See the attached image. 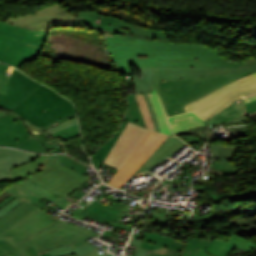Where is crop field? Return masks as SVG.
<instances>
[{"label":"crop field","mask_w":256,"mask_h":256,"mask_svg":"<svg viewBox=\"0 0 256 256\" xmlns=\"http://www.w3.org/2000/svg\"><path fill=\"white\" fill-rule=\"evenodd\" d=\"M98 247L88 243L80 246L73 247L72 244L65 245L61 247H57L54 249H51L47 251L51 256H63V255H69V254H77L78 256H84L85 254L91 252L92 250L96 249ZM46 252H41L40 254H43Z\"/></svg>","instance_id":"27"},{"label":"crop field","mask_w":256,"mask_h":256,"mask_svg":"<svg viewBox=\"0 0 256 256\" xmlns=\"http://www.w3.org/2000/svg\"><path fill=\"white\" fill-rule=\"evenodd\" d=\"M54 156L40 155L36 160L12 169V179H10V182H17L39 171L47 172L54 160Z\"/></svg>","instance_id":"17"},{"label":"crop field","mask_w":256,"mask_h":256,"mask_svg":"<svg viewBox=\"0 0 256 256\" xmlns=\"http://www.w3.org/2000/svg\"><path fill=\"white\" fill-rule=\"evenodd\" d=\"M254 95H256V92H255V93H252V94H250V95H248V96H245V99H246V98H249V97H251V96H254Z\"/></svg>","instance_id":"48"},{"label":"crop field","mask_w":256,"mask_h":256,"mask_svg":"<svg viewBox=\"0 0 256 256\" xmlns=\"http://www.w3.org/2000/svg\"><path fill=\"white\" fill-rule=\"evenodd\" d=\"M132 237L150 242L155 245L163 246V247H166L170 250L177 251V252H180L183 247V242H181L177 239L170 238V237L160 235L157 233H153V232H151L149 234L143 233L142 236L133 234Z\"/></svg>","instance_id":"24"},{"label":"crop field","mask_w":256,"mask_h":256,"mask_svg":"<svg viewBox=\"0 0 256 256\" xmlns=\"http://www.w3.org/2000/svg\"><path fill=\"white\" fill-rule=\"evenodd\" d=\"M254 113H256V112H252V114H254Z\"/></svg>","instance_id":"52"},{"label":"crop field","mask_w":256,"mask_h":256,"mask_svg":"<svg viewBox=\"0 0 256 256\" xmlns=\"http://www.w3.org/2000/svg\"><path fill=\"white\" fill-rule=\"evenodd\" d=\"M212 241L190 238L183 249L182 256H209L204 251L211 245Z\"/></svg>","instance_id":"28"},{"label":"crop field","mask_w":256,"mask_h":256,"mask_svg":"<svg viewBox=\"0 0 256 256\" xmlns=\"http://www.w3.org/2000/svg\"><path fill=\"white\" fill-rule=\"evenodd\" d=\"M24 125L19 118L10 115L0 117V145L1 146H16L29 138Z\"/></svg>","instance_id":"15"},{"label":"crop field","mask_w":256,"mask_h":256,"mask_svg":"<svg viewBox=\"0 0 256 256\" xmlns=\"http://www.w3.org/2000/svg\"><path fill=\"white\" fill-rule=\"evenodd\" d=\"M26 125H27V127L29 128V130L35 135V134H44V135H46V136H48V137H50L51 135H49V134H47V133H45V132H42L40 129H38V128H36V127H34V126H32L29 122H24Z\"/></svg>","instance_id":"41"},{"label":"crop field","mask_w":256,"mask_h":256,"mask_svg":"<svg viewBox=\"0 0 256 256\" xmlns=\"http://www.w3.org/2000/svg\"><path fill=\"white\" fill-rule=\"evenodd\" d=\"M255 99H256V96L251 97V98H249V99H246V100H245V103H246V102H249V101H252V100H255Z\"/></svg>","instance_id":"46"},{"label":"crop field","mask_w":256,"mask_h":256,"mask_svg":"<svg viewBox=\"0 0 256 256\" xmlns=\"http://www.w3.org/2000/svg\"><path fill=\"white\" fill-rule=\"evenodd\" d=\"M183 144L185 143L182 140L169 136V138L164 141V143L158 148V150L140 167V169L136 173L151 168L153 165L167 157L169 154L177 150Z\"/></svg>","instance_id":"18"},{"label":"crop field","mask_w":256,"mask_h":256,"mask_svg":"<svg viewBox=\"0 0 256 256\" xmlns=\"http://www.w3.org/2000/svg\"><path fill=\"white\" fill-rule=\"evenodd\" d=\"M136 256H145V250L138 247Z\"/></svg>","instance_id":"45"},{"label":"crop field","mask_w":256,"mask_h":256,"mask_svg":"<svg viewBox=\"0 0 256 256\" xmlns=\"http://www.w3.org/2000/svg\"><path fill=\"white\" fill-rule=\"evenodd\" d=\"M58 143V141L55 142L53 139L44 135H36L19 144L16 148L43 153H46L44 148H53V152H59L60 145ZM56 145H58V147H56Z\"/></svg>","instance_id":"21"},{"label":"crop field","mask_w":256,"mask_h":256,"mask_svg":"<svg viewBox=\"0 0 256 256\" xmlns=\"http://www.w3.org/2000/svg\"><path fill=\"white\" fill-rule=\"evenodd\" d=\"M252 73L253 72L223 74L161 81L159 82V95L164 103L167 115L172 116L184 113L183 105L190 103L227 83ZM174 110L177 112L175 113Z\"/></svg>","instance_id":"2"},{"label":"crop field","mask_w":256,"mask_h":256,"mask_svg":"<svg viewBox=\"0 0 256 256\" xmlns=\"http://www.w3.org/2000/svg\"><path fill=\"white\" fill-rule=\"evenodd\" d=\"M89 26L104 31L107 35L127 36L169 42L166 31L145 29L129 24L116 17L102 16L96 11L77 12Z\"/></svg>","instance_id":"6"},{"label":"crop field","mask_w":256,"mask_h":256,"mask_svg":"<svg viewBox=\"0 0 256 256\" xmlns=\"http://www.w3.org/2000/svg\"><path fill=\"white\" fill-rule=\"evenodd\" d=\"M237 101V103H235V101L225 109L215 114L208 121H206L205 123L207 124V126L211 123L217 125L221 122L228 121L246 114L243 108V98H239Z\"/></svg>","instance_id":"23"},{"label":"crop field","mask_w":256,"mask_h":256,"mask_svg":"<svg viewBox=\"0 0 256 256\" xmlns=\"http://www.w3.org/2000/svg\"><path fill=\"white\" fill-rule=\"evenodd\" d=\"M66 224H68V223H65V222H62V221L58 220L55 223H53L51 226H49L47 229H45L44 231L38 233L36 236H34L33 238L27 240L26 242H28V241L36 238V237H39L41 235H44V234H46V233H48V232H50V231H52L54 229H57V228H59L61 226H64ZM1 240L5 241L7 244H9L11 247H13L21 256H30V254L22 247L21 244H23V243L15 245L14 242L12 241L11 237L3 238Z\"/></svg>","instance_id":"31"},{"label":"crop field","mask_w":256,"mask_h":256,"mask_svg":"<svg viewBox=\"0 0 256 256\" xmlns=\"http://www.w3.org/2000/svg\"><path fill=\"white\" fill-rule=\"evenodd\" d=\"M249 242L232 233V236L228 243L237 248L249 251L255 247L254 244L249 243Z\"/></svg>","instance_id":"35"},{"label":"crop field","mask_w":256,"mask_h":256,"mask_svg":"<svg viewBox=\"0 0 256 256\" xmlns=\"http://www.w3.org/2000/svg\"><path fill=\"white\" fill-rule=\"evenodd\" d=\"M99 251H100V250L97 249V250H95V251H93V252H91V253H89V254H87V255H85V256H103L104 254L107 253V252L103 251L104 253L100 254V253H98ZM101 251H102V250H101Z\"/></svg>","instance_id":"43"},{"label":"crop field","mask_w":256,"mask_h":256,"mask_svg":"<svg viewBox=\"0 0 256 256\" xmlns=\"http://www.w3.org/2000/svg\"><path fill=\"white\" fill-rule=\"evenodd\" d=\"M169 121L174 133L206 126L196 114L191 112L170 117Z\"/></svg>","instance_id":"20"},{"label":"crop field","mask_w":256,"mask_h":256,"mask_svg":"<svg viewBox=\"0 0 256 256\" xmlns=\"http://www.w3.org/2000/svg\"><path fill=\"white\" fill-rule=\"evenodd\" d=\"M127 121H124L120 130L118 131L117 135L111 139L106 145L102 146L97 153L91 157L92 159V163L94 164V166L96 167V169L99 168V166L101 165L102 161L104 160V158L107 156V154L110 152V150L112 149L113 145L115 144V142L117 141L118 137L120 136L123 128L125 127ZM99 162V164H97Z\"/></svg>","instance_id":"30"},{"label":"crop field","mask_w":256,"mask_h":256,"mask_svg":"<svg viewBox=\"0 0 256 256\" xmlns=\"http://www.w3.org/2000/svg\"><path fill=\"white\" fill-rule=\"evenodd\" d=\"M97 233L89 232L83 229L76 228L70 224L52 231L49 234L41 236L31 242L23 244V247L31 246L37 253L46 251L60 245L69 243H77L86 240Z\"/></svg>","instance_id":"10"},{"label":"crop field","mask_w":256,"mask_h":256,"mask_svg":"<svg viewBox=\"0 0 256 256\" xmlns=\"http://www.w3.org/2000/svg\"><path fill=\"white\" fill-rule=\"evenodd\" d=\"M126 208V205L114 202L109 210L94 206L84 216L109 224L111 220L116 221Z\"/></svg>","instance_id":"22"},{"label":"crop field","mask_w":256,"mask_h":256,"mask_svg":"<svg viewBox=\"0 0 256 256\" xmlns=\"http://www.w3.org/2000/svg\"><path fill=\"white\" fill-rule=\"evenodd\" d=\"M3 114H6V112L0 111V116L3 115ZM10 114H11V115H15V114H13V113H10ZM15 116H17V115H15Z\"/></svg>","instance_id":"49"},{"label":"crop field","mask_w":256,"mask_h":256,"mask_svg":"<svg viewBox=\"0 0 256 256\" xmlns=\"http://www.w3.org/2000/svg\"><path fill=\"white\" fill-rule=\"evenodd\" d=\"M56 220V218L38 209L8 229L0 238L11 236L15 244L21 243L47 228Z\"/></svg>","instance_id":"13"},{"label":"crop field","mask_w":256,"mask_h":256,"mask_svg":"<svg viewBox=\"0 0 256 256\" xmlns=\"http://www.w3.org/2000/svg\"><path fill=\"white\" fill-rule=\"evenodd\" d=\"M135 95H136V98H137V101H138V105H139V108L141 110L144 122L146 124V127L149 128V129L155 130L154 124H153V120H152V118L150 116V113L148 111L147 105H146V103L144 101L143 94L141 93V94H135Z\"/></svg>","instance_id":"34"},{"label":"crop field","mask_w":256,"mask_h":256,"mask_svg":"<svg viewBox=\"0 0 256 256\" xmlns=\"http://www.w3.org/2000/svg\"><path fill=\"white\" fill-rule=\"evenodd\" d=\"M27 178L64 198L88 180L85 176L62 166L57 155L47 173L40 172Z\"/></svg>","instance_id":"8"},{"label":"crop field","mask_w":256,"mask_h":256,"mask_svg":"<svg viewBox=\"0 0 256 256\" xmlns=\"http://www.w3.org/2000/svg\"><path fill=\"white\" fill-rule=\"evenodd\" d=\"M106 49L120 71L137 67H239L245 62H225L217 50L196 44H175L107 36Z\"/></svg>","instance_id":"1"},{"label":"crop field","mask_w":256,"mask_h":256,"mask_svg":"<svg viewBox=\"0 0 256 256\" xmlns=\"http://www.w3.org/2000/svg\"><path fill=\"white\" fill-rule=\"evenodd\" d=\"M153 69L154 68H138V70L141 72V78L134 76L135 91H136V93H140V92L144 93L145 101L148 105V108L150 110V113H151L154 123H155V128L157 131H159V126L157 124L154 111L151 107V103L146 94V92L151 91V84H152V80H153ZM141 84H143V85H141Z\"/></svg>","instance_id":"19"},{"label":"crop field","mask_w":256,"mask_h":256,"mask_svg":"<svg viewBox=\"0 0 256 256\" xmlns=\"http://www.w3.org/2000/svg\"><path fill=\"white\" fill-rule=\"evenodd\" d=\"M167 135L148 131L132 154L123 163L108 184L121 188L122 185L139 169V167L157 150L167 139Z\"/></svg>","instance_id":"9"},{"label":"crop field","mask_w":256,"mask_h":256,"mask_svg":"<svg viewBox=\"0 0 256 256\" xmlns=\"http://www.w3.org/2000/svg\"><path fill=\"white\" fill-rule=\"evenodd\" d=\"M147 131V129L128 122L104 163L118 170Z\"/></svg>","instance_id":"12"},{"label":"crop field","mask_w":256,"mask_h":256,"mask_svg":"<svg viewBox=\"0 0 256 256\" xmlns=\"http://www.w3.org/2000/svg\"><path fill=\"white\" fill-rule=\"evenodd\" d=\"M15 197L10 196L7 199H5L3 202L0 203V208H2L3 206H5L6 204H8L10 201H12Z\"/></svg>","instance_id":"44"},{"label":"crop field","mask_w":256,"mask_h":256,"mask_svg":"<svg viewBox=\"0 0 256 256\" xmlns=\"http://www.w3.org/2000/svg\"><path fill=\"white\" fill-rule=\"evenodd\" d=\"M21 202V200L19 199H14L12 202H10L8 205H6L4 208H2L0 210V217L4 216L6 213H8L9 211H11L14 207H16L17 205H19Z\"/></svg>","instance_id":"40"},{"label":"crop field","mask_w":256,"mask_h":256,"mask_svg":"<svg viewBox=\"0 0 256 256\" xmlns=\"http://www.w3.org/2000/svg\"><path fill=\"white\" fill-rule=\"evenodd\" d=\"M0 256H19L9 245L0 240Z\"/></svg>","instance_id":"39"},{"label":"crop field","mask_w":256,"mask_h":256,"mask_svg":"<svg viewBox=\"0 0 256 256\" xmlns=\"http://www.w3.org/2000/svg\"><path fill=\"white\" fill-rule=\"evenodd\" d=\"M14 111L42 129L65 116L74 114L75 107L66 98L42 85Z\"/></svg>","instance_id":"4"},{"label":"crop field","mask_w":256,"mask_h":256,"mask_svg":"<svg viewBox=\"0 0 256 256\" xmlns=\"http://www.w3.org/2000/svg\"><path fill=\"white\" fill-rule=\"evenodd\" d=\"M29 78L19 70L14 69L6 95L0 94V107L13 110L41 86Z\"/></svg>","instance_id":"14"},{"label":"crop field","mask_w":256,"mask_h":256,"mask_svg":"<svg viewBox=\"0 0 256 256\" xmlns=\"http://www.w3.org/2000/svg\"><path fill=\"white\" fill-rule=\"evenodd\" d=\"M237 148L238 147H233V146L210 145V149H216V157L226 156V157L232 158Z\"/></svg>","instance_id":"36"},{"label":"crop field","mask_w":256,"mask_h":256,"mask_svg":"<svg viewBox=\"0 0 256 256\" xmlns=\"http://www.w3.org/2000/svg\"><path fill=\"white\" fill-rule=\"evenodd\" d=\"M35 209L36 208L25 202L17 206L15 209L0 219V234H2L11 225L15 224Z\"/></svg>","instance_id":"25"},{"label":"crop field","mask_w":256,"mask_h":256,"mask_svg":"<svg viewBox=\"0 0 256 256\" xmlns=\"http://www.w3.org/2000/svg\"><path fill=\"white\" fill-rule=\"evenodd\" d=\"M246 111H247V113L252 112V111H256V107H253V108L247 109Z\"/></svg>","instance_id":"47"},{"label":"crop field","mask_w":256,"mask_h":256,"mask_svg":"<svg viewBox=\"0 0 256 256\" xmlns=\"http://www.w3.org/2000/svg\"><path fill=\"white\" fill-rule=\"evenodd\" d=\"M234 247L228 245L226 242L214 239L212 245L207 249V252L215 256H226Z\"/></svg>","instance_id":"33"},{"label":"crop field","mask_w":256,"mask_h":256,"mask_svg":"<svg viewBox=\"0 0 256 256\" xmlns=\"http://www.w3.org/2000/svg\"><path fill=\"white\" fill-rule=\"evenodd\" d=\"M130 244L146 249V251H148V254H146V256H151V254H154V256H180V253H176L163 247L155 246L133 238L131 239Z\"/></svg>","instance_id":"29"},{"label":"crop field","mask_w":256,"mask_h":256,"mask_svg":"<svg viewBox=\"0 0 256 256\" xmlns=\"http://www.w3.org/2000/svg\"><path fill=\"white\" fill-rule=\"evenodd\" d=\"M26 250L31 254V256H34L28 248H26Z\"/></svg>","instance_id":"50"},{"label":"crop field","mask_w":256,"mask_h":256,"mask_svg":"<svg viewBox=\"0 0 256 256\" xmlns=\"http://www.w3.org/2000/svg\"><path fill=\"white\" fill-rule=\"evenodd\" d=\"M110 225H113V226H116V227H119V228H122V229H125V230H128V231H132V227H129V226H125V225H122V224H119V223H116V222H114V221H112L111 223H110Z\"/></svg>","instance_id":"42"},{"label":"crop field","mask_w":256,"mask_h":256,"mask_svg":"<svg viewBox=\"0 0 256 256\" xmlns=\"http://www.w3.org/2000/svg\"><path fill=\"white\" fill-rule=\"evenodd\" d=\"M38 156L37 154L0 148V181L11 178V168L32 161Z\"/></svg>","instance_id":"16"},{"label":"crop field","mask_w":256,"mask_h":256,"mask_svg":"<svg viewBox=\"0 0 256 256\" xmlns=\"http://www.w3.org/2000/svg\"><path fill=\"white\" fill-rule=\"evenodd\" d=\"M8 23L33 30L48 32L50 28L64 25L86 27L78 18L71 15L58 4L44 8L38 12L8 18Z\"/></svg>","instance_id":"7"},{"label":"crop field","mask_w":256,"mask_h":256,"mask_svg":"<svg viewBox=\"0 0 256 256\" xmlns=\"http://www.w3.org/2000/svg\"><path fill=\"white\" fill-rule=\"evenodd\" d=\"M253 106H256V104H253V105H251V106H247L246 109H247V108H250V107H253Z\"/></svg>","instance_id":"51"},{"label":"crop field","mask_w":256,"mask_h":256,"mask_svg":"<svg viewBox=\"0 0 256 256\" xmlns=\"http://www.w3.org/2000/svg\"><path fill=\"white\" fill-rule=\"evenodd\" d=\"M152 89V92H149L147 94L152 103V107L156 113L158 124L160 126V132L170 134V126L168 124L167 116L164 112L162 103L157 95L156 90L153 87Z\"/></svg>","instance_id":"26"},{"label":"crop field","mask_w":256,"mask_h":256,"mask_svg":"<svg viewBox=\"0 0 256 256\" xmlns=\"http://www.w3.org/2000/svg\"><path fill=\"white\" fill-rule=\"evenodd\" d=\"M256 90V73L245 76L227 84L210 94L184 106L185 111L190 110L203 118H208L218 112L227 104L233 102L244 94Z\"/></svg>","instance_id":"5"},{"label":"crop field","mask_w":256,"mask_h":256,"mask_svg":"<svg viewBox=\"0 0 256 256\" xmlns=\"http://www.w3.org/2000/svg\"><path fill=\"white\" fill-rule=\"evenodd\" d=\"M246 71L256 72L255 59H248L246 65L240 66V68H155L152 86L158 92V81L160 80Z\"/></svg>","instance_id":"11"},{"label":"crop field","mask_w":256,"mask_h":256,"mask_svg":"<svg viewBox=\"0 0 256 256\" xmlns=\"http://www.w3.org/2000/svg\"><path fill=\"white\" fill-rule=\"evenodd\" d=\"M54 135L56 137L63 138L65 140L79 136L80 135L79 126H78V124L74 125L72 127L66 128Z\"/></svg>","instance_id":"37"},{"label":"crop field","mask_w":256,"mask_h":256,"mask_svg":"<svg viewBox=\"0 0 256 256\" xmlns=\"http://www.w3.org/2000/svg\"><path fill=\"white\" fill-rule=\"evenodd\" d=\"M77 123H78V122H77V119H76V118H73V119L68 120V121H66V122H63V123H61V124H58V125H56V126L50 128V129H48V130H46V131L49 132V133H51V134H53V133H55V132H58V131H60V130H62V129H64V128H66V127L72 126V125L77 124Z\"/></svg>","instance_id":"38"},{"label":"crop field","mask_w":256,"mask_h":256,"mask_svg":"<svg viewBox=\"0 0 256 256\" xmlns=\"http://www.w3.org/2000/svg\"><path fill=\"white\" fill-rule=\"evenodd\" d=\"M47 34L0 22V61L18 68L37 59Z\"/></svg>","instance_id":"3"},{"label":"crop field","mask_w":256,"mask_h":256,"mask_svg":"<svg viewBox=\"0 0 256 256\" xmlns=\"http://www.w3.org/2000/svg\"><path fill=\"white\" fill-rule=\"evenodd\" d=\"M129 105L126 114V119L145 127L140 110L138 108L134 94L128 95Z\"/></svg>","instance_id":"32"}]
</instances>
